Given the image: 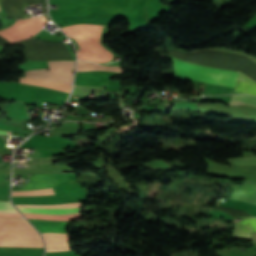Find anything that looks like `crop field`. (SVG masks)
<instances>
[{
  "instance_id": "obj_1",
  "label": "crop field",
  "mask_w": 256,
  "mask_h": 256,
  "mask_svg": "<svg viewBox=\"0 0 256 256\" xmlns=\"http://www.w3.org/2000/svg\"><path fill=\"white\" fill-rule=\"evenodd\" d=\"M102 26L79 24L62 28V30L74 37L79 45L78 59L95 62H106L111 60L112 53L105 50L99 42Z\"/></svg>"
},
{
  "instance_id": "obj_2",
  "label": "crop field",
  "mask_w": 256,
  "mask_h": 256,
  "mask_svg": "<svg viewBox=\"0 0 256 256\" xmlns=\"http://www.w3.org/2000/svg\"><path fill=\"white\" fill-rule=\"evenodd\" d=\"M175 76L196 79L214 84L235 86L237 72L218 70L208 67L188 64L172 58Z\"/></svg>"
},
{
  "instance_id": "obj_3",
  "label": "crop field",
  "mask_w": 256,
  "mask_h": 256,
  "mask_svg": "<svg viewBox=\"0 0 256 256\" xmlns=\"http://www.w3.org/2000/svg\"><path fill=\"white\" fill-rule=\"evenodd\" d=\"M21 43L25 47L27 60H72L68 49L62 42L38 41L35 39L23 40Z\"/></svg>"
},
{
  "instance_id": "obj_4",
  "label": "crop field",
  "mask_w": 256,
  "mask_h": 256,
  "mask_svg": "<svg viewBox=\"0 0 256 256\" xmlns=\"http://www.w3.org/2000/svg\"><path fill=\"white\" fill-rule=\"evenodd\" d=\"M45 22L46 21L43 16L32 19L18 20L14 25L1 30L0 36L10 42L26 39L41 30ZM1 37L0 45L10 43Z\"/></svg>"
},
{
  "instance_id": "obj_5",
  "label": "crop field",
  "mask_w": 256,
  "mask_h": 256,
  "mask_svg": "<svg viewBox=\"0 0 256 256\" xmlns=\"http://www.w3.org/2000/svg\"><path fill=\"white\" fill-rule=\"evenodd\" d=\"M74 62L75 61L48 62V69L28 71L26 77L71 84Z\"/></svg>"
},
{
  "instance_id": "obj_6",
  "label": "crop field",
  "mask_w": 256,
  "mask_h": 256,
  "mask_svg": "<svg viewBox=\"0 0 256 256\" xmlns=\"http://www.w3.org/2000/svg\"><path fill=\"white\" fill-rule=\"evenodd\" d=\"M70 178H72L70 174L38 173L29 178L24 187L13 191L50 188Z\"/></svg>"
},
{
  "instance_id": "obj_7",
  "label": "crop field",
  "mask_w": 256,
  "mask_h": 256,
  "mask_svg": "<svg viewBox=\"0 0 256 256\" xmlns=\"http://www.w3.org/2000/svg\"><path fill=\"white\" fill-rule=\"evenodd\" d=\"M0 246L43 247L39 236L0 235Z\"/></svg>"
},
{
  "instance_id": "obj_8",
  "label": "crop field",
  "mask_w": 256,
  "mask_h": 256,
  "mask_svg": "<svg viewBox=\"0 0 256 256\" xmlns=\"http://www.w3.org/2000/svg\"><path fill=\"white\" fill-rule=\"evenodd\" d=\"M7 17H26L24 8L32 2H46V0H0Z\"/></svg>"
},
{
  "instance_id": "obj_9",
  "label": "crop field",
  "mask_w": 256,
  "mask_h": 256,
  "mask_svg": "<svg viewBox=\"0 0 256 256\" xmlns=\"http://www.w3.org/2000/svg\"><path fill=\"white\" fill-rule=\"evenodd\" d=\"M46 252L69 250L66 234H42Z\"/></svg>"
},
{
  "instance_id": "obj_10",
  "label": "crop field",
  "mask_w": 256,
  "mask_h": 256,
  "mask_svg": "<svg viewBox=\"0 0 256 256\" xmlns=\"http://www.w3.org/2000/svg\"><path fill=\"white\" fill-rule=\"evenodd\" d=\"M32 224L43 232H55V233H67L65 228L69 221H45V220H33L29 219Z\"/></svg>"
},
{
  "instance_id": "obj_11",
  "label": "crop field",
  "mask_w": 256,
  "mask_h": 256,
  "mask_svg": "<svg viewBox=\"0 0 256 256\" xmlns=\"http://www.w3.org/2000/svg\"><path fill=\"white\" fill-rule=\"evenodd\" d=\"M250 232H256V218H249L238 222L234 227L233 237L251 239Z\"/></svg>"
},
{
  "instance_id": "obj_12",
  "label": "crop field",
  "mask_w": 256,
  "mask_h": 256,
  "mask_svg": "<svg viewBox=\"0 0 256 256\" xmlns=\"http://www.w3.org/2000/svg\"><path fill=\"white\" fill-rule=\"evenodd\" d=\"M21 212L41 213V214H72L79 212L80 207L67 209H52V208H18Z\"/></svg>"
},
{
  "instance_id": "obj_13",
  "label": "crop field",
  "mask_w": 256,
  "mask_h": 256,
  "mask_svg": "<svg viewBox=\"0 0 256 256\" xmlns=\"http://www.w3.org/2000/svg\"><path fill=\"white\" fill-rule=\"evenodd\" d=\"M234 91L256 95V83L243 76L242 74H239Z\"/></svg>"
},
{
  "instance_id": "obj_14",
  "label": "crop field",
  "mask_w": 256,
  "mask_h": 256,
  "mask_svg": "<svg viewBox=\"0 0 256 256\" xmlns=\"http://www.w3.org/2000/svg\"><path fill=\"white\" fill-rule=\"evenodd\" d=\"M20 83L32 84V85H40L45 86L53 89L63 90L69 92L70 86L67 84L43 81V80H36V79H29V78H21Z\"/></svg>"
},
{
  "instance_id": "obj_15",
  "label": "crop field",
  "mask_w": 256,
  "mask_h": 256,
  "mask_svg": "<svg viewBox=\"0 0 256 256\" xmlns=\"http://www.w3.org/2000/svg\"><path fill=\"white\" fill-rule=\"evenodd\" d=\"M87 70L121 71L118 66H102L91 62L78 61L77 71Z\"/></svg>"
},
{
  "instance_id": "obj_16",
  "label": "crop field",
  "mask_w": 256,
  "mask_h": 256,
  "mask_svg": "<svg viewBox=\"0 0 256 256\" xmlns=\"http://www.w3.org/2000/svg\"><path fill=\"white\" fill-rule=\"evenodd\" d=\"M27 218H38V219H45V220H72L81 218L80 214H73V215H41V214H27L23 213Z\"/></svg>"
},
{
  "instance_id": "obj_17",
  "label": "crop field",
  "mask_w": 256,
  "mask_h": 256,
  "mask_svg": "<svg viewBox=\"0 0 256 256\" xmlns=\"http://www.w3.org/2000/svg\"><path fill=\"white\" fill-rule=\"evenodd\" d=\"M229 105H248L256 107V98L249 95L233 96Z\"/></svg>"
},
{
  "instance_id": "obj_18",
  "label": "crop field",
  "mask_w": 256,
  "mask_h": 256,
  "mask_svg": "<svg viewBox=\"0 0 256 256\" xmlns=\"http://www.w3.org/2000/svg\"><path fill=\"white\" fill-rule=\"evenodd\" d=\"M46 194H54L53 189L50 188V189L36 190V191L12 192V196L46 195Z\"/></svg>"
},
{
  "instance_id": "obj_19",
  "label": "crop field",
  "mask_w": 256,
  "mask_h": 256,
  "mask_svg": "<svg viewBox=\"0 0 256 256\" xmlns=\"http://www.w3.org/2000/svg\"><path fill=\"white\" fill-rule=\"evenodd\" d=\"M82 206L80 203L73 204H60V205H17L16 207H52V208H67V207H75Z\"/></svg>"
},
{
  "instance_id": "obj_20",
  "label": "crop field",
  "mask_w": 256,
  "mask_h": 256,
  "mask_svg": "<svg viewBox=\"0 0 256 256\" xmlns=\"http://www.w3.org/2000/svg\"><path fill=\"white\" fill-rule=\"evenodd\" d=\"M0 212L13 213L17 212L9 202H0Z\"/></svg>"
},
{
  "instance_id": "obj_21",
  "label": "crop field",
  "mask_w": 256,
  "mask_h": 256,
  "mask_svg": "<svg viewBox=\"0 0 256 256\" xmlns=\"http://www.w3.org/2000/svg\"><path fill=\"white\" fill-rule=\"evenodd\" d=\"M247 165H256V157L245 158Z\"/></svg>"
},
{
  "instance_id": "obj_22",
  "label": "crop field",
  "mask_w": 256,
  "mask_h": 256,
  "mask_svg": "<svg viewBox=\"0 0 256 256\" xmlns=\"http://www.w3.org/2000/svg\"><path fill=\"white\" fill-rule=\"evenodd\" d=\"M0 216H8V217H22L19 213H14V214H5V213H0Z\"/></svg>"
},
{
  "instance_id": "obj_23",
  "label": "crop field",
  "mask_w": 256,
  "mask_h": 256,
  "mask_svg": "<svg viewBox=\"0 0 256 256\" xmlns=\"http://www.w3.org/2000/svg\"><path fill=\"white\" fill-rule=\"evenodd\" d=\"M7 132H3V131H0V134H6ZM11 132H8V134L10 135Z\"/></svg>"
}]
</instances>
